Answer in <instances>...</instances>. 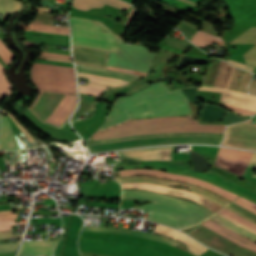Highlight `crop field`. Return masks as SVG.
Returning <instances> with one entry per match:
<instances>
[{
	"instance_id": "1",
	"label": "crop field",
	"mask_w": 256,
	"mask_h": 256,
	"mask_svg": "<svg viewBox=\"0 0 256 256\" xmlns=\"http://www.w3.org/2000/svg\"><path fill=\"white\" fill-rule=\"evenodd\" d=\"M181 115H191L188 99L181 89L170 92L160 82L128 97L117 99L98 130L129 118Z\"/></svg>"
},
{
	"instance_id": "2",
	"label": "crop field",
	"mask_w": 256,
	"mask_h": 256,
	"mask_svg": "<svg viewBox=\"0 0 256 256\" xmlns=\"http://www.w3.org/2000/svg\"><path fill=\"white\" fill-rule=\"evenodd\" d=\"M122 198H141L154 201L134 208L149 211L147 219L166 223L179 229L194 225L214 214L182 199L148 191H123Z\"/></svg>"
},
{
	"instance_id": "3",
	"label": "crop field",
	"mask_w": 256,
	"mask_h": 256,
	"mask_svg": "<svg viewBox=\"0 0 256 256\" xmlns=\"http://www.w3.org/2000/svg\"><path fill=\"white\" fill-rule=\"evenodd\" d=\"M225 126L198 125L191 117H163L127 122L94 135V140L145 133L204 131L223 133Z\"/></svg>"
},
{
	"instance_id": "4",
	"label": "crop field",
	"mask_w": 256,
	"mask_h": 256,
	"mask_svg": "<svg viewBox=\"0 0 256 256\" xmlns=\"http://www.w3.org/2000/svg\"><path fill=\"white\" fill-rule=\"evenodd\" d=\"M70 24L72 26L73 44L119 52L123 41L103 23L101 25L109 50L99 21L70 17Z\"/></svg>"
},
{
	"instance_id": "5",
	"label": "crop field",
	"mask_w": 256,
	"mask_h": 256,
	"mask_svg": "<svg viewBox=\"0 0 256 256\" xmlns=\"http://www.w3.org/2000/svg\"><path fill=\"white\" fill-rule=\"evenodd\" d=\"M31 75L39 89L76 94L73 68L34 63Z\"/></svg>"
},
{
	"instance_id": "6",
	"label": "crop field",
	"mask_w": 256,
	"mask_h": 256,
	"mask_svg": "<svg viewBox=\"0 0 256 256\" xmlns=\"http://www.w3.org/2000/svg\"><path fill=\"white\" fill-rule=\"evenodd\" d=\"M220 142H221V138H216V137L185 136V137H167V138L133 140V141H125V142H117V143L92 145V146H88V147L91 152H97V151L113 150V149H120V148L148 146V145H160V144H168V143L220 144Z\"/></svg>"
},
{
	"instance_id": "7",
	"label": "crop field",
	"mask_w": 256,
	"mask_h": 256,
	"mask_svg": "<svg viewBox=\"0 0 256 256\" xmlns=\"http://www.w3.org/2000/svg\"><path fill=\"white\" fill-rule=\"evenodd\" d=\"M188 234L200 240L204 244L231 256H235L232 253L238 256H256L255 252L230 241L201 224L191 230Z\"/></svg>"
},
{
	"instance_id": "8",
	"label": "crop field",
	"mask_w": 256,
	"mask_h": 256,
	"mask_svg": "<svg viewBox=\"0 0 256 256\" xmlns=\"http://www.w3.org/2000/svg\"><path fill=\"white\" fill-rule=\"evenodd\" d=\"M221 145L256 150V124L241 122L228 126Z\"/></svg>"
},
{
	"instance_id": "9",
	"label": "crop field",
	"mask_w": 256,
	"mask_h": 256,
	"mask_svg": "<svg viewBox=\"0 0 256 256\" xmlns=\"http://www.w3.org/2000/svg\"><path fill=\"white\" fill-rule=\"evenodd\" d=\"M197 90H212L222 92L221 102L224 106L241 115H253L256 113V96L239 92L228 91L216 88H197Z\"/></svg>"
},
{
	"instance_id": "10",
	"label": "crop field",
	"mask_w": 256,
	"mask_h": 256,
	"mask_svg": "<svg viewBox=\"0 0 256 256\" xmlns=\"http://www.w3.org/2000/svg\"><path fill=\"white\" fill-rule=\"evenodd\" d=\"M253 153L220 148L214 165L242 176Z\"/></svg>"
},
{
	"instance_id": "11",
	"label": "crop field",
	"mask_w": 256,
	"mask_h": 256,
	"mask_svg": "<svg viewBox=\"0 0 256 256\" xmlns=\"http://www.w3.org/2000/svg\"><path fill=\"white\" fill-rule=\"evenodd\" d=\"M122 186H123V188L137 187V188L143 189V190H149V191H154V192H160V193H165V194H170V195L181 196V197H185L190 200L196 201L202 205L205 204L207 201H209V200H207L197 194H194L190 191L156 185V184H151V183H131V184H122ZM203 206H205L215 212H217L221 208H223L211 201L207 202Z\"/></svg>"
},
{
	"instance_id": "12",
	"label": "crop field",
	"mask_w": 256,
	"mask_h": 256,
	"mask_svg": "<svg viewBox=\"0 0 256 256\" xmlns=\"http://www.w3.org/2000/svg\"><path fill=\"white\" fill-rule=\"evenodd\" d=\"M121 176H125V175H135V174H142V175H151V176H157V177H162V178H168V179H173V180H179V181H185V182H190V183H194L197 185H200L202 187H205L229 200H233L234 198L237 197V195L226 191L224 189H221L217 186L205 183L203 181L194 179V178H189V177H183V176H177V175H172V174H168V173H164V172H160V171H156V170H129V171H120Z\"/></svg>"
},
{
	"instance_id": "13",
	"label": "crop field",
	"mask_w": 256,
	"mask_h": 256,
	"mask_svg": "<svg viewBox=\"0 0 256 256\" xmlns=\"http://www.w3.org/2000/svg\"><path fill=\"white\" fill-rule=\"evenodd\" d=\"M39 92L37 99L30 108L37 117L45 122L66 94L43 91Z\"/></svg>"
},
{
	"instance_id": "14",
	"label": "crop field",
	"mask_w": 256,
	"mask_h": 256,
	"mask_svg": "<svg viewBox=\"0 0 256 256\" xmlns=\"http://www.w3.org/2000/svg\"><path fill=\"white\" fill-rule=\"evenodd\" d=\"M117 180H119L120 182H131V181H145V182H152V183H158V184H171L173 185L174 183L177 184H181V185H185V186H189L192 187V190L194 193H197L221 206H226L228 203V201H226L225 199L207 191L204 189H201L199 187H196L194 185L191 184H187V183H182V182H174V181H168V180H163V179H158V178H153V177H148V176H134V177H121V178H115Z\"/></svg>"
},
{
	"instance_id": "15",
	"label": "crop field",
	"mask_w": 256,
	"mask_h": 256,
	"mask_svg": "<svg viewBox=\"0 0 256 256\" xmlns=\"http://www.w3.org/2000/svg\"><path fill=\"white\" fill-rule=\"evenodd\" d=\"M73 54L78 63L98 66L105 68L107 54L106 51L90 49L73 45Z\"/></svg>"
},
{
	"instance_id": "16",
	"label": "crop field",
	"mask_w": 256,
	"mask_h": 256,
	"mask_svg": "<svg viewBox=\"0 0 256 256\" xmlns=\"http://www.w3.org/2000/svg\"><path fill=\"white\" fill-rule=\"evenodd\" d=\"M153 232L165 235L167 237L173 238V239H175V240H177L181 243L186 244L187 247H188L189 252H191L195 256H200L201 254H203L208 249V248L196 243L195 241H193L189 237H187V236H185V235H183V234H181V233H179L175 230H172L168 227L156 225Z\"/></svg>"
},
{
	"instance_id": "17",
	"label": "crop field",
	"mask_w": 256,
	"mask_h": 256,
	"mask_svg": "<svg viewBox=\"0 0 256 256\" xmlns=\"http://www.w3.org/2000/svg\"><path fill=\"white\" fill-rule=\"evenodd\" d=\"M58 241L24 242L19 256H52Z\"/></svg>"
},
{
	"instance_id": "18",
	"label": "crop field",
	"mask_w": 256,
	"mask_h": 256,
	"mask_svg": "<svg viewBox=\"0 0 256 256\" xmlns=\"http://www.w3.org/2000/svg\"><path fill=\"white\" fill-rule=\"evenodd\" d=\"M76 102V96L67 94L64 100L61 102V104L58 106V108L54 111V113L49 117V119L46 122L59 126L68 118V116L76 106Z\"/></svg>"
},
{
	"instance_id": "19",
	"label": "crop field",
	"mask_w": 256,
	"mask_h": 256,
	"mask_svg": "<svg viewBox=\"0 0 256 256\" xmlns=\"http://www.w3.org/2000/svg\"><path fill=\"white\" fill-rule=\"evenodd\" d=\"M185 135H204V136H216L222 137L223 134L217 133H204V132H185V133H163V134H145V135H133L105 140H98L86 143L87 145L92 144H100V143H108V142H117V141H125V140H133V139H143V138H155V137H167V136H185Z\"/></svg>"
},
{
	"instance_id": "20",
	"label": "crop field",
	"mask_w": 256,
	"mask_h": 256,
	"mask_svg": "<svg viewBox=\"0 0 256 256\" xmlns=\"http://www.w3.org/2000/svg\"><path fill=\"white\" fill-rule=\"evenodd\" d=\"M202 26L205 29V31L218 36L212 24L205 21L202 24ZM190 41H192L196 46L203 47V48L205 47V45L212 44L213 42L218 43V45L222 47L224 46V41L220 37H216L214 35L208 34L200 30L197 31L196 35Z\"/></svg>"
},
{
	"instance_id": "21",
	"label": "crop field",
	"mask_w": 256,
	"mask_h": 256,
	"mask_svg": "<svg viewBox=\"0 0 256 256\" xmlns=\"http://www.w3.org/2000/svg\"><path fill=\"white\" fill-rule=\"evenodd\" d=\"M82 230H90V231H102V232H112V233H120V234H127V235H133V236H140V237H146L151 238L155 240L164 241L166 243H169L173 246H176L177 242L161 236V235H155V234H148V233H142V232H136V231H130L120 228H103V227H91V226H84Z\"/></svg>"
},
{
	"instance_id": "22",
	"label": "crop field",
	"mask_w": 256,
	"mask_h": 256,
	"mask_svg": "<svg viewBox=\"0 0 256 256\" xmlns=\"http://www.w3.org/2000/svg\"><path fill=\"white\" fill-rule=\"evenodd\" d=\"M7 118L2 117L1 130H0V150L20 149Z\"/></svg>"
},
{
	"instance_id": "23",
	"label": "crop field",
	"mask_w": 256,
	"mask_h": 256,
	"mask_svg": "<svg viewBox=\"0 0 256 256\" xmlns=\"http://www.w3.org/2000/svg\"><path fill=\"white\" fill-rule=\"evenodd\" d=\"M104 3L124 10L131 6L120 0H74L73 6L81 10H89L91 7H102Z\"/></svg>"
},
{
	"instance_id": "24",
	"label": "crop field",
	"mask_w": 256,
	"mask_h": 256,
	"mask_svg": "<svg viewBox=\"0 0 256 256\" xmlns=\"http://www.w3.org/2000/svg\"><path fill=\"white\" fill-rule=\"evenodd\" d=\"M201 224H203V225H205V226L211 228L212 230H214V231L220 233L221 235H223V236H225V237L231 239L232 241H234V242H236V243H238V244H240V245H242V246H244V247H246V248H249V249H251V250H253V251L256 252V248H254V247H252V246H250V245H248V244H246V243H243V242H241V241H239V240H237V239H235V238L229 236L228 234H226L225 232H223V231L220 230L219 228H221V229L227 231L228 233H230V234H232V235L238 237L239 239H241V240H243V241H245V242H247V243H249V244H251V245H253V246H255V247H256V243L251 242V241H249V240H247V239H245V238H243V237H241V236H239V235L233 233L232 231H230V230L226 229L225 227H223V226L217 224L216 222H214V221H212V220L209 219V220H207V221H205V222H203V223H201ZM209 228H208V229H209ZM220 234H219V235H220Z\"/></svg>"
},
{
	"instance_id": "25",
	"label": "crop field",
	"mask_w": 256,
	"mask_h": 256,
	"mask_svg": "<svg viewBox=\"0 0 256 256\" xmlns=\"http://www.w3.org/2000/svg\"><path fill=\"white\" fill-rule=\"evenodd\" d=\"M231 65V64H230ZM227 64L225 61H221L215 82L213 86L222 87V88H229L233 68Z\"/></svg>"
},
{
	"instance_id": "26",
	"label": "crop field",
	"mask_w": 256,
	"mask_h": 256,
	"mask_svg": "<svg viewBox=\"0 0 256 256\" xmlns=\"http://www.w3.org/2000/svg\"><path fill=\"white\" fill-rule=\"evenodd\" d=\"M76 67H77V70L80 71V72H86V73H92V74H98V75L128 79V80H131V81H134L138 77L136 75L124 74V73L107 71V70L96 69V68L85 67V66H79V65H76Z\"/></svg>"
},
{
	"instance_id": "27",
	"label": "crop field",
	"mask_w": 256,
	"mask_h": 256,
	"mask_svg": "<svg viewBox=\"0 0 256 256\" xmlns=\"http://www.w3.org/2000/svg\"><path fill=\"white\" fill-rule=\"evenodd\" d=\"M210 219H212V220H214V221H216V222H218V223H220V224H222V225H224V226H226V227H228V228H230V229H232V230H234V231H236V232H238V233H240V234H242V235H244V236H246V237H248V238H250L254 241H256V234L255 233H252V232L238 226L237 224L229 221L228 219H226V218H224V217H222L218 214L213 216Z\"/></svg>"
},
{
	"instance_id": "28",
	"label": "crop field",
	"mask_w": 256,
	"mask_h": 256,
	"mask_svg": "<svg viewBox=\"0 0 256 256\" xmlns=\"http://www.w3.org/2000/svg\"><path fill=\"white\" fill-rule=\"evenodd\" d=\"M218 214L228 218L229 220L237 223L238 225L256 233V224L246 220L245 218L227 210V209H222Z\"/></svg>"
},
{
	"instance_id": "29",
	"label": "crop field",
	"mask_w": 256,
	"mask_h": 256,
	"mask_svg": "<svg viewBox=\"0 0 256 256\" xmlns=\"http://www.w3.org/2000/svg\"><path fill=\"white\" fill-rule=\"evenodd\" d=\"M26 30L69 35V29L61 26L30 23Z\"/></svg>"
},
{
	"instance_id": "30",
	"label": "crop field",
	"mask_w": 256,
	"mask_h": 256,
	"mask_svg": "<svg viewBox=\"0 0 256 256\" xmlns=\"http://www.w3.org/2000/svg\"><path fill=\"white\" fill-rule=\"evenodd\" d=\"M78 74L81 77L89 78L88 81H90V82L104 84V85H108V86H117V85H122V84L128 82V81H125V80L108 78V77L97 76V75L86 74V73H80V72H78Z\"/></svg>"
},
{
	"instance_id": "31",
	"label": "crop field",
	"mask_w": 256,
	"mask_h": 256,
	"mask_svg": "<svg viewBox=\"0 0 256 256\" xmlns=\"http://www.w3.org/2000/svg\"><path fill=\"white\" fill-rule=\"evenodd\" d=\"M21 9V2L17 0H0V12L4 13L1 19Z\"/></svg>"
},
{
	"instance_id": "32",
	"label": "crop field",
	"mask_w": 256,
	"mask_h": 256,
	"mask_svg": "<svg viewBox=\"0 0 256 256\" xmlns=\"http://www.w3.org/2000/svg\"><path fill=\"white\" fill-rule=\"evenodd\" d=\"M94 99H95V97H91V96L80 93V105H79L77 112L74 114L72 120H74L80 114H82L87 109H89L91 104L93 103Z\"/></svg>"
},
{
	"instance_id": "33",
	"label": "crop field",
	"mask_w": 256,
	"mask_h": 256,
	"mask_svg": "<svg viewBox=\"0 0 256 256\" xmlns=\"http://www.w3.org/2000/svg\"><path fill=\"white\" fill-rule=\"evenodd\" d=\"M106 88H107L106 86H102V85H98L90 82H88L86 86L79 85L80 92L96 95V96H99L102 90L103 89L105 90Z\"/></svg>"
},
{
	"instance_id": "34",
	"label": "crop field",
	"mask_w": 256,
	"mask_h": 256,
	"mask_svg": "<svg viewBox=\"0 0 256 256\" xmlns=\"http://www.w3.org/2000/svg\"><path fill=\"white\" fill-rule=\"evenodd\" d=\"M218 61L209 64L208 70H207V75H206L205 82H204L205 86H212L213 85V81H214Z\"/></svg>"
},
{
	"instance_id": "35",
	"label": "crop field",
	"mask_w": 256,
	"mask_h": 256,
	"mask_svg": "<svg viewBox=\"0 0 256 256\" xmlns=\"http://www.w3.org/2000/svg\"><path fill=\"white\" fill-rule=\"evenodd\" d=\"M225 208H227V209H229V210H231V211H233V212H235V213L245 217L246 219H248V220H250V221H252L254 223L256 222V216L250 214L249 212L243 210L242 208H240V207H238V206H236V205H234L232 203L229 204Z\"/></svg>"
},
{
	"instance_id": "36",
	"label": "crop field",
	"mask_w": 256,
	"mask_h": 256,
	"mask_svg": "<svg viewBox=\"0 0 256 256\" xmlns=\"http://www.w3.org/2000/svg\"><path fill=\"white\" fill-rule=\"evenodd\" d=\"M250 77L251 73L243 70L236 90L246 92Z\"/></svg>"
},
{
	"instance_id": "37",
	"label": "crop field",
	"mask_w": 256,
	"mask_h": 256,
	"mask_svg": "<svg viewBox=\"0 0 256 256\" xmlns=\"http://www.w3.org/2000/svg\"><path fill=\"white\" fill-rule=\"evenodd\" d=\"M233 203L253 212L256 214V204L248 201V200H245L241 197H239L237 200H235Z\"/></svg>"
},
{
	"instance_id": "38",
	"label": "crop field",
	"mask_w": 256,
	"mask_h": 256,
	"mask_svg": "<svg viewBox=\"0 0 256 256\" xmlns=\"http://www.w3.org/2000/svg\"><path fill=\"white\" fill-rule=\"evenodd\" d=\"M20 242L0 244V253L17 251Z\"/></svg>"
},
{
	"instance_id": "39",
	"label": "crop field",
	"mask_w": 256,
	"mask_h": 256,
	"mask_svg": "<svg viewBox=\"0 0 256 256\" xmlns=\"http://www.w3.org/2000/svg\"><path fill=\"white\" fill-rule=\"evenodd\" d=\"M165 42L170 44V45H172V46H174V47H176V48H179V49L183 50L184 47L186 46V44L189 41H187L186 39H183L181 41H177L175 39H172V38L168 37Z\"/></svg>"
},
{
	"instance_id": "40",
	"label": "crop field",
	"mask_w": 256,
	"mask_h": 256,
	"mask_svg": "<svg viewBox=\"0 0 256 256\" xmlns=\"http://www.w3.org/2000/svg\"><path fill=\"white\" fill-rule=\"evenodd\" d=\"M26 222L14 223V220L0 221V231L11 230L10 225H21Z\"/></svg>"
},
{
	"instance_id": "41",
	"label": "crop field",
	"mask_w": 256,
	"mask_h": 256,
	"mask_svg": "<svg viewBox=\"0 0 256 256\" xmlns=\"http://www.w3.org/2000/svg\"><path fill=\"white\" fill-rule=\"evenodd\" d=\"M3 111V110H2ZM5 112V111H3ZM7 113V112H5ZM11 119L14 121V123L18 126V128L22 131V133L25 135V137L29 140L30 143L34 142L33 137L31 136V134L29 132H27L18 122L17 120L13 117V115L7 113Z\"/></svg>"
},
{
	"instance_id": "42",
	"label": "crop field",
	"mask_w": 256,
	"mask_h": 256,
	"mask_svg": "<svg viewBox=\"0 0 256 256\" xmlns=\"http://www.w3.org/2000/svg\"><path fill=\"white\" fill-rule=\"evenodd\" d=\"M180 30L183 32L184 36L188 38L189 40L195 35L196 30H193L187 26H183L180 28Z\"/></svg>"
},
{
	"instance_id": "43",
	"label": "crop field",
	"mask_w": 256,
	"mask_h": 256,
	"mask_svg": "<svg viewBox=\"0 0 256 256\" xmlns=\"http://www.w3.org/2000/svg\"><path fill=\"white\" fill-rule=\"evenodd\" d=\"M240 71H241L240 69L234 68V72H233V76H232V80H231V84H230V88L229 89H232V90L235 89V86H236V83H237Z\"/></svg>"
},
{
	"instance_id": "44",
	"label": "crop field",
	"mask_w": 256,
	"mask_h": 256,
	"mask_svg": "<svg viewBox=\"0 0 256 256\" xmlns=\"http://www.w3.org/2000/svg\"><path fill=\"white\" fill-rule=\"evenodd\" d=\"M23 235L13 236L12 231L0 232V239L22 237Z\"/></svg>"
},
{
	"instance_id": "45",
	"label": "crop field",
	"mask_w": 256,
	"mask_h": 256,
	"mask_svg": "<svg viewBox=\"0 0 256 256\" xmlns=\"http://www.w3.org/2000/svg\"><path fill=\"white\" fill-rule=\"evenodd\" d=\"M38 59L72 63L71 60H67V59H59V58H51V57H43V56H39Z\"/></svg>"
},
{
	"instance_id": "46",
	"label": "crop field",
	"mask_w": 256,
	"mask_h": 256,
	"mask_svg": "<svg viewBox=\"0 0 256 256\" xmlns=\"http://www.w3.org/2000/svg\"><path fill=\"white\" fill-rule=\"evenodd\" d=\"M228 61L233 63V64H235V65H237L238 67H240L242 69H246V70H250V71H253V69H254V67H252V66H248V65H245V64H242V63H239V62H235V61L229 60V59H228Z\"/></svg>"
},
{
	"instance_id": "47",
	"label": "crop field",
	"mask_w": 256,
	"mask_h": 256,
	"mask_svg": "<svg viewBox=\"0 0 256 256\" xmlns=\"http://www.w3.org/2000/svg\"><path fill=\"white\" fill-rule=\"evenodd\" d=\"M136 15V12L134 10V8L132 9V11L129 13V15L127 16L128 17V20L126 22V27L128 28L130 22L132 21V19L134 18V16Z\"/></svg>"
},
{
	"instance_id": "48",
	"label": "crop field",
	"mask_w": 256,
	"mask_h": 256,
	"mask_svg": "<svg viewBox=\"0 0 256 256\" xmlns=\"http://www.w3.org/2000/svg\"><path fill=\"white\" fill-rule=\"evenodd\" d=\"M16 214L0 215V220L16 219Z\"/></svg>"
},
{
	"instance_id": "49",
	"label": "crop field",
	"mask_w": 256,
	"mask_h": 256,
	"mask_svg": "<svg viewBox=\"0 0 256 256\" xmlns=\"http://www.w3.org/2000/svg\"><path fill=\"white\" fill-rule=\"evenodd\" d=\"M249 92L256 94V80H254V79H252Z\"/></svg>"
},
{
	"instance_id": "50",
	"label": "crop field",
	"mask_w": 256,
	"mask_h": 256,
	"mask_svg": "<svg viewBox=\"0 0 256 256\" xmlns=\"http://www.w3.org/2000/svg\"><path fill=\"white\" fill-rule=\"evenodd\" d=\"M251 161L256 162V153H254L253 158H252ZM253 162H250L248 166L256 168V163H253ZM253 176L256 177L255 175H253Z\"/></svg>"
},
{
	"instance_id": "51",
	"label": "crop field",
	"mask_w": 256,
	"mask_h": 256,
	"mask_svg": "<svg viewBox=\"0 0 256 256\" xmlns=\"http://www.w3.org/2000/svg\"><path fill=\"white\" fill-rule=\"evenodd\" d=\"M8 213H12L11 210H8V211H0V214H8Z\"/></svg>"
},
{
	"instance_id": "52",
	"label": "crop field",
	"mask_w": 256,
	"mask_h": 256,
	"mask_svg": "<svg viewBox=\"0 0 256 256\" xmlns=\"http://www.w3.org/2000/svg\"><path fill=\"white\" fill-rule=\"evenodd\" d=\"M3 97H4V95H3V94H0V100H2Z\"/></svg>"
}]
</instances>
